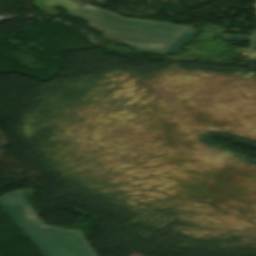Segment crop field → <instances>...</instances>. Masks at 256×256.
Returning a JSON list of instances; mask_svg holds the SVG:
<instances>
[{"mask_svg": "<svg viewBox=\"0 0 256 256\" xmlns=\"http://www.w3.org/2000/svg\"><path fill=\"white\" fill-rule=\"evenodd\" d=\"M66 14L85 18L89 25L105 31L103 37L135 51L165 54L168 47L188 26L146 20H126L99 8H78ZM162 44V47H155Z\"/></svg>", "mask_w": 256, "mask_h": 256, "instance_id": "8a807250", "label": "crop field"}, {"mask_svg": "<svg viewBox=\"0 0 256 256\" xmlns=\"http://www.w3.org/2000/svg\"><path fill=\"white\" fill-rule=\"evenodd\" d=\"M256 9V5L253 6ZM256 15V14H255Z\"/></svg>", "mask_w": 256, "mask_h": 256, "instance_id": "dd49c442", "label": "crop field"}, {"mask_svg": "<svg viewBox=\"0 0 256 256\" xmlns=\"http://www.w3.org/2000/svg\"><path fill=\"white\" fill-rule=\"evenodd\" d=\"M198 32L187 29L175 40V42L166 51V54L177 55L185 43H189Z\"/></svg>", "mask_w": 256, "mask_h": 256, "instance_id": "34b2d1b8", "label": "crop field"}, {"mask_svg": "<svg viewBox=\"0 0 256 256\" xmlns=\"http://www.w3.org/2000/svg\"><path fill=\"white\" fill-rule=\"evenodd\" d=\"M252 47L256 48V36H254V38H253V44H252Z\"/></svg>", "mask_w": 256, "mask_h": 256, "instance_id": "f4fd0767", "label": "crop field"}, {"mask_svg": "<svg viewBox=\"0 0 256 256\" xmlns=\"http://www.w3.org/2000/svg\"><path fill=\"white\" fill-rule=\"evenodd\" d=\"M0 208L44 256H96L81 231L42 223L20 190L1 196Z\"/></svg>", "mask_w": 256, "mask_h": 256, "instance_id": "ac0d7876", "label": "crop field"}, {"mask_svg": "<svg viewBox=\"0 0 256 256\" xmlns=\"http://www.w3.org/2000/svg\"><path fill=\"white\" fill-rule=\"evenodd\" d=\"M224 40L251 42V36L223 35Z\"/></svg>", "mask_w": 256, "mask_h": 256, "instance_id": "412701ff", "label": "crop field"}]
</instances>
